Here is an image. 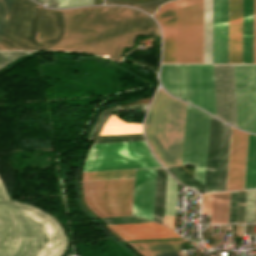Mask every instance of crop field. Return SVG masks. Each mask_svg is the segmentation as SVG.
<instances>
[{
	"instance_id": "cbeb9de0",
	"label": "crop field",
	"mask_w": 256,
	"mask_h": 256,
	"mask_svg": "<svg viewBox=\"0 0 256 256\" xmlns=\"http://www.w3.org/2000/svg\"><path fill=\"white\" fill-rule=\"evenodd\" d=\"M213 63H228V0H213Z\"/></svg>"
},
{
	"instance_id": "bc2a9ffb",
	"label": "crop field",
	"mask_w": 256,
	"mask_h": 256,
	"mask_svg": "<svg viewBox=\"0 0 256 256\" xmlns=\"http://www.w3.org/2000/svg\"><path fill=\"white\" fill-rule=\"evenodd\" d=\"M243 63H253V0H243Z\"/></svg>"
},
{
	"instance_id": "d32e631a",
	"label": "crop field",
	"mask_w": 256,
	"mask_h": 256,
	"mask_svg": "<svg viewBox=\"0 0 256 256\" xmlns=\"http://www.w3.org/2000/svg\"><path fill=\"white\" fill-rule=\"evenodd\" d=\"M144 140L142 134L98 136L94 143Z\"/></svg>"
},
{
	"instance_id": "5a996713",
	"label": "crop field",
	"mask_w": 256,
	"mask_h": 256,
	"mask_svg": "<svg viewBox=\"0 0 256 256\" xmlns=\"http://www.w3.org/2000/svg\"><path fill=\"white\" fill-rule=\"evenodd\" d=\"M223 122L211 117L205 186L188 178L177 167L166 168L181 183L201 190L216 191Z\"/></svg>"
},
{
	"instance_id": "00972430",
	"label": "crop field",
	"mask_w": 256,
	"mask_h": 256,
	"mask_svg": "<svg viewBox=\"0 0 256 256\" xmlns=\"http://www.w3.org/2000/svg\"><path fill=\"white\" fill-rule=\"evenodd\" d=\"M230 132L231 127L224 124L217 191L225 190Z\"/></svg>"
},
{
	"instance_id": "eef30255",
	"label": "crop field",
	"mask_w": 256,
	"mask_h": 256,
	"mask_svg": "<svg viewBox=\"0 0 256 256\" xmlns=\"http://www.w3.org/2000/svg\"><path fill=\"white\" fill-rule=\"evenodd\" d=\"M148 104H141V105H135V106H129V107H123V108H119V107H114V108H109L107 110H104L101 112L99 118L97 119L96 123L94 124L93 128L91 129L89 135L90 141H93V139L95 138V136L97 135V133L99 132V130L101 129V127L103 126V124L105 123V121L107 120V118L109 117V113L110 111H113L115 109L118 110H126V109H143V110H147Z\"/></svg>"
},
{
	"instance_id": "22f410ed",
	"label": "crop field",
	"mask_w": 256,
	"mask_h": 256,
	"mask_svg": "<svg viewBox=\"0 0 256 256\" xmlns=\"http://www.w3.org/2000/svg\"><path fill=\"white\" fill-rule=\"evenodd\" d=\"M248 134L232 128L227 190L243 189Z\"/></svg>"
},
{
	"instance_id": "28ad6ade",
	"label": "crop field",
	"mask_w": 256,
	"mask_h": 256,
	"mask_svg": "<svg viewBox=\"0 0 256 256\" xmlns=\"http://www.w3.org/2000/svg\"><path fill=\"white\" fill-rule=\"evenodd\" d=\"M217 117L236 126L233 65H214Z\"/></svg>"
},
{
	"instance_id": "214f88e0",
	"label": "crop field",
	"mask_w": 256,
	"mask_h": 256,
	"mask_svg": "<svg viewBox=\"0 0 256 256\" xmlns=\"http://www.w3.org/2000/svg\"><path fill=\"white\" fill-rule=\"evenodd\" d=\"M167 172L157 169L153 221L163 224Z\"/></svg>"
},
{
	"instance_id": "92a150f3",
	"label": "crop field",
	"mask_w": 256,
	"mask_h": 256,
	"mask_svg": "<svg viewBox=\"0 0 256 256\" xmlns=\"http://www.w3.org/2000/svg\"><path fill=\"white\" fill-rule=\"evenodd\" d=\"M256 188V136L249 134L244 189Z\"/></svg>"
},
{
	"instance_id": "bd1437ed",
	"label": "crop field",
	"mask_w": 256,
	"mask_h": 256,
	"mask_svg": "<svg viewBox=\"0 0 256 256\" xmlns=\"http://www.w3.org/2000/svg\"><path fill=\"white\" fill-rule=\"evenodd\" d=\"M169 0H152L150 2H128V1H117V0H105L106 4H123L130 5L140 8L148 13H153L155 9L163 2Z\"/></svg>"
},
{
	"instance_id": "34b2d1b8",
	"label": "crop field",
	"mask_w": 256,
	"mask_h": 256,
	"mask_svg": "<svg viewBox=\"0 0 256 256\" xmlns=\"http://www.w3.org/2000/svg\"><path fill=\"white\" fill-rule=\"evenodd\" d=\"M186 104L158 90L144 124L154 154L164 167L180 165Z\"/></svg>"
},
{
	"instance_id": "e52e79f7",
	"label": "crop field",
	"mask_w": 256,
	"mask_h": 256,
	"mask_svg": "<svg viewBox=\"0 0 256 256\" xmlns=\"http://www.w3.org/2000/svg\"><path fill=\"white\" fill-rule=\"evenodd\" d=\"M210 115L187 104L181 165H195L194 179L204 184Z\"/></svg>"
},
{
	"instance_id": "750c4746",
	"label": "crop field",
	"mask_w": 256,
	"mask_h": 256,
	"mask_svg": "<svg viewBox=\"0 0 256 256\" xmlns=\"http://www.w3.org/2000/svg\"><path fill=\"white\" fill-rule=\"evenodd\" d=\"M179 98L189 102L187 65H177Z\"/></svg>"
},
{
	"instance_id": "1d83c4d3",
	"label": "crop field",
	"mask_w": 256,
	"mask_h": 256,
	"mask_svg": "<svg viewBox=\"0 0 256 256\" xmlns=\"http://www.w3.org/2000/svg\"><path fill=\"white\" fill-rule=\"evenodd\" d=\"M138 35H144V36L154 35V36H159V30H158L157 25L152 21V19L150 17H148L145 14H142V18H141V21H140V25H139L136 37Z\"/></svg>"
},
{
	"instance_id": "c21b1889",
	"label": "crop field",
	"mask_w": 256,
	"mask_h": 256,
	"mask_svg": "<svg viewBox=\"0 0 256 256\" xmlns=\"http://www.w3.org/2000/svg\"><path fill=\"white\" fill-rule=\"evenodd\" d=\"M47 5L50 7H57V0H47Z\"/></svg>"
},
{
	"instance_id": "5142ce71",
	"label": "crop field",
	"mask_w": 256,
	"mask_h": 256,
	"mask_svg": "<svg viewBox=\"0 0 256 256\" xmlns=\"http://www.w3.org/2000/svg\"><path fill=\"white\" fill-rule=\"evenodd\" d=\"M154 18L163 31L162 63H175V1L160 6Z\"/></svg>"
},
{
	"instance_id": "8a807250",
	"label": "crop field",
	"mask_w": 256,
	"mask_h": 256,
	"mask_svg": "<svg viewBox=\"0 0 256 256\" xmlns=\"http://www.w3.org/2000/svg\"><path fill=\"white\" fill-rule=\"evenodd\" d=\"M141 14L127 7L48 10L30 0H0V50L80 51L120 61Z\"/></svg>"
},
{
	"instance_id": "f4fd0767",
	"label": "crop field",
	"mask_w": 256,
	"mask_h": 256,
	"mask_svg": "<svg viewBox=\"0 0 256 256\" xmlns=\"http://www.w3.org/2000/svg\"><path fill=\"white\" fill-rule=\"evenodd\" d=\"M203 0L176 1V63H202Z\"/></svg>"
},
{
	"instance_id": "412701ff",
	"label": "crop field",
	"mask_w": 256,
	"mask_h": 256,
	"mask_svg": "<svg viewBox=\"0 0 256 256\" xmlns=\"http://www.w3.org/2000/svg\"><path fill=\"white\" fill-rule=\"evenodd\" d=\"M154 167L161 166L145 141L102 143L91 147L83 172Z\"/></svg>"
},
{
	"instance_id": "dd49c442",
	"label": "crop field",
	"mask_w": 256,
	"mask_h": 256,
	"mask_svg": "<svg viewBox=\"0 0 256 256\" xmlns=\"http://www.w3.org/2000/svg\"><path fill=\"white\" fill-rule=\"evenodd\" d=\"M133 179L83 182L85 204L99 217L130 215Z\"/></svg>"
},
{
	"instance_id": "c035e120",
	"label": "crop field",
	"mask_w": 256,
	"mask_h": 256,
	"mask_svg": "<svg viewBox=\"0 0 256 256\" xmlns=\"http://www.w3.org/2000/svg\"><path fill=\"white\" fill-rule=\"evenodd\" d=\"M185 241H187V240L150 242V243H135V244H130V245L133 246V245H146V244H172V243H184Z\"/></svg>"
},
{
	"instance_id": "e1f06a70",
	"label": "crop field",
	"mask_w": 256,
	"mask_h": 256,
	"mask_svg": "<svg viewBox=\"0 0 256 256\" xmlns=\"http://www.w3.org/2000/svg\"><path fill=\"white\" fill-rule=\"evenodd\" d=\"M87 4H93V0H58V7H75Z\"/></svg>"
},
{
	"instance_id": "3316defc",
	"label": "crop field",
	"mask_w": 256,
	"mask_h": 256,
	"mask_svg": "<svg viewBox=\"0 0 256 256\" xmlns=\"http://www.w3.org/2000/svg\"><path fill=\"white\" fill-rule=\"evenodd\" d=\"M190 103L216 115L213 65H188Z\"/></svg>"
},
{
	"instance_id": "03da06ac",
	"label": "crop field",
	"mask_w": 256,
	"mask_h": 256,
	"mask_svg": "<svg viewBox=\"0 0 256 256\" xmlns=\"http://www.w3.org/2000/svg\"><path fill=\"white\" fill-rule=\"evenodd\" d=\"M37 1H39V2H41V3H43V4H44V2H45V0H37Z\"/></svg>"
},
{
	"instance_id": "d3111659",
	"label": "crop field",
	"mask_w": 256,
	"mask_h": 256,
	"mask_svg": "<svg viewBox=\"0 0 256 256\" xmlns=\"http://www.w3.org/2000/svg\"><path fill=\"white\" fill-rule=\"evenodd\" d=\"M134 170L83 173L82 180L133 177Z\"/></svg>"
},
{
	"instance_id": "730fd06b",
	"label": "crop field",
	"mask_w": 256,
	"mask_h": 256,
	"mask_svg": "<svg viewBox=\"0 0 256 256\" xmlns=\"http://www.w3.org/2000/svg\"><path fill=\"white\" fill-rule=\"evenodd\" d=\"M161 81L170 94L178 97L176 65H162Z\"/></svg>"
},
{
	"instance_id": "d9b57169",
	"label": "crop field",
	"mask_w": 256,
	"mask_h": 256,
	"mask_svg": "<svg viewBox=\"0 0 256 256\" xmlns=\"http://www.w3.org/2000/svg\"><path fill=\"white\" fill-rule=\"evenodd\" d=\"M229 63H242V0H229Z\"/></svg>"
},
{
	"instance_id": "d8731c3e",
	"label": "crop field",
	"mask_w": 256,
	"mask_h": 256,
	"mask_svg": "<svg viewBox=\"0 0 256 256\" xmlns=\"http://www.w3.org/2000/svg\"><path fill=\"white\" fill-rule=\"evenodd\" d=\"M237 127L256 133V65H234Z\"/></svg>"
},
{
	"instance_id": "028f5c9d",
	"label": "crop field",
	"mask_w": 256,
	"mask_h": 256,
	"mask_svg": "<svg viewBox=\"0 0 256 256\" xmlns=\"http://www.w3.org/2000/svg\"><path fill=\"white\" fill-rule=\"evenodd\" d=\"M246 190L238 191L237 223H244Z\"/></svg>"
},
{
	"instance_id": "ac0d7876",
	"label": "crop field",
	"mask_w": 256,
	"mask_h": 256,
	"mask_svg": "<svg viewBox=\"0 0 256 256\" xmlns=\"http://www.w3.org/2000/svg\"><path fill=\"white\" fill-rule=\"evenodd\" d=\"M32 52H0V69ZM67 239L49 214L10 200L0 181V256H62Z\"/></svg>"
},
{
	"instance_id": "0bd39190",
	"label": "crop field",
	"mask_w": 256,
	"mask_h": 256,
	"mask_svg": "<svg viewBox=\"0 0 256 256\" xmlns=\"http://www.w3.org/2000/svg\"><path fill=\"white\" fill-rule=\"evenodd\" d=\"M237 191L231 192L229 223H236Z\"/></svg>"
},
{
	"instance_id": "b80d0937",
	"label": "crop field",
	"mask_w": 256,
	"mask_h": 256,
	"mask_svg": "<svg viewBox=\"0 0 256 256\" xmlns=\"http://www.w3.org/2000/svg\"><path fill=\"white\" fill-rule=\"evenodd\" d=\"M254 63H256V0H254Z\"/></svg>"
},
{
	"instance_id": "4a817a6b",
	"label": "crop field",
	"mask_w": 256,
	"mask_h": 256,
	"mask_svg": "<svg viewBox=\"0 0 256 256\" xmlns=\"http://www.w3.org/2000/svg\"><path fill=\"white\" fill-rule=\"evenodd\" d=\"M230 192L203 194L202 214H211L210 224L228 223Z\"/></svg>"
},
{
	"instance_id": "733c2abd",
	"label": "crop field",
	"mask_w": 256,
	"mask_h": 256,
	"mask_svg": "<svg viewBox=\"0 0 256 256\" xmlns=\"http://www.w3.org/2000/svg\"><path fill=\"white\" fill-rule=\"evenodd\" d=\"M122 239H153L179 237L170 229L155 223L109 226Z\"/></svg>"
},
{
	"instance_id": "dafd665d",
	"label": "crop field",
	"mask_w": 256,
	"mask_h": 256,
	"mask_svg": "<svg viewBox=\"0 0 256 256\" xmlns=\"http://www.w3.org/2000/svg\"><path fill=\"white\" fill-rule=\"evenodd\" d=\"M204 63H212V0H204Z\"/></svg>"
},
{
	"instance_id": "d1516ede",
	"label": "crop field",
	"mask_w": 256,
	"mask_h": 256,
	"mask_svg": "<svg viewBox=\"0 0 256 256\" xmlns=\"http://www.w3.org/2000/svg\"><path fill=\"white\" fill-rule=\"evenodd\" d=\"M156 169L136 170L133 215L152 221Z\"/></svg>"
},
{
	"instance_id": "120bbe31",
	"label": "crop field",
	"mask_w": 256,
	"mask_h": 256,
	"mask_svg": "<svg viewBox=\"0 0 256 256\" xmlns=\"http://www.w3.org/2000/svg\"><path fill=\"white\" fill-rule=\"evenodd\" d=\"M256 189L247 190L245 223H255Z\"/></svg>"
},
{
	"instance_id": "ae1a2a85",
	"label": "crop field",
	"mask_w": 256,
	"mask_h": 256,
	"mask_svg": "<svg viewBox=\"0 0 256 256\" xmlns=\"http://www.w3.org/2000/svg\"><path fill=\"white\" fill-rule=\"evenodd\" d=\"M177 183L168 174L165 215L175 216Z\"/></svg>"
},
{
	"instance_id": "5866460e",
	"label": "crop field",
	"mask_w": 256,
	"mask_h": 256,
	"mask_svg": "<svg viewBox=\"0 0 256 256\" xmlns=\"http://www.w3.org/2000/svg\"><path fill=\"white\" fill-rule=\"evenodd\" d=\"M107 225H115V224H130V223H146L149 221H145L139 218H135L132 216L125 217H114V218H101Z\"/></svg>"
},
{
	"instance_id": "a9b5d70f",
	"label": "crop field",
	"mask_w": 256,
	"mask_h": 256,
	"mask_svg": "<svg viewBox=\"0 0 256 256\" xmlns=\"http://www.w3.org/2000/svg\"><path fill=\"white\" fill-rule=\"evenodd\" d=\"M141 133V125L122 122L116 116H110L99 135Z\"/></svg>"
},
{
	"instance_id": "4177f3b9",
	"label": "crop field",
	"mask_w": 256,
	"mask_h": 256,
	"mask_svg": "<svg viewBox=\"0 0 256 256\" xmlns=\"http://www.w3.org/2000/svg\"><path fill=\"white\" fill-rule=\"evenodd\" d=\"M182 244L134 247L143 256H181Z\"/></svg>"
}]
</instances>
